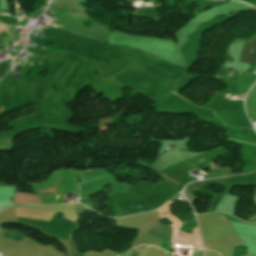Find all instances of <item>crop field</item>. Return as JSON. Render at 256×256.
<instances>
[{
	"label": "crop field",
	"instance_id": "crop-field-1",
	"mask_svg": "<svg viewBox=\"0 0 256 256\" xmlns=\"http://www.w3.org/2000/svg\"><path fill=\"white\" fill-rule=\"evenodd\" d=\"M167 218L174 224L171 226H163L158 221L152 226L145 229L143 232L154 235L172 244L181 243L194 245L195 247H202L197 228L193 230V234H186L179 231L181 222L175 216L171 215Z\"/></svg>",
	"mask_w": 256,
	"mask_h": 256
},
{
	"label": "crop field",
	"instance_id": "crop-field-2",
	"mask_svg": "<svg viewBox=\"0 0 256 256\" xmlns=\"http://www.w3.org/2000/svg\"><path fill=\"white\" fill-rule=\"evenodd\" d=\"M78 175L82 179V182L78 183L82 196L87 197L88 195L95 194L100 191L103 186L110 183L113 184V193L128 192V184L117 183L116 178L112 177L104 170L86 171L84 173H78Z\"/></svg>",
	"mask_w": 256,
	"mask_h": 256
},
{
	"label": "crop field",
	"instance_id": "crop-field-3",
	"mask_svg": "<svg viewBox=\"0 0 256 256\" xmlns=\"http://www.w3.org/2000/svg\"><path fill=\"white\" fill-rule=\"evenodd\" d=\"M250 48L253 49V54L249 53L248 50ZM239 61L249 63L252 65L254 64V62L256 61V36L253 37L250 41L244 42ZM254 65H256V62Z\"/></svg>",
	"mask_w": 256,
	"mask_h": 256
},
{
	"label": "crop field",
	"instance_id": "crop-field-4",
	"mask_svg": "<svg viewBox=\"0 0 256 256\" xmlns=\"http://www.w3.org/2000/svg\"><path fill=\"white\" fill-rule=\"evenodd\" d=\"M70 15H74V16H77V17H80V18H86V14H83V13H79V12H74V11H71Z\"/></svg>",
	"mask_w": 256,
	"mask_h": 256
},
{
	"label": "crop field",
	"instance_id": "crop-field-5",
	"mask_svg": "<svg viewBox=\"0 0 256 256\" xmlns=\"http://www.w3.org/2000/svg\"><path fill=\"white\" fill-rule=\"evenodd\" d=\"M212 166H214L213 162H211Z\"/></svg>",
	"mask_w": 256,
	"mask_h": 256
},
{
	"label": "crop field",
	"instance_id": "crop-field-6",
	"mask_svg": "<svg viewBox=\"0 0 256 256\" xmlns=\"http://www.w3.org/2000/svg\"><path fill=\"white\" fill-rule=\"evenodd\" d=\"M4 43H5V42H4ZM4 43H3V44H4Z\"/></svg>",
	"mask_w": 256,
	"mask_h": 256
}]
</instances>
